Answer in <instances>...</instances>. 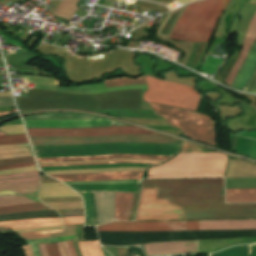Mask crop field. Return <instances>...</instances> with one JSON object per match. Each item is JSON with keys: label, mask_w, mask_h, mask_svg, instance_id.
Returning <instances> with one entry per match:
<instances>
[{"label": "crop field", "mask_w": 256, "mask_h": 256, "mask_svg": "<svg viewBox=\"0 0 256 256\" xmlns=\"http://www.w3.org/2000/svg\"><path fill=\"white\" fill-rule=\"evenodd\" d=\"M135 221L256 218V203L225 204L223 179L143 181Z\"/></svg>", "instance_id": "1"}, {"label": "crop field", "mask_w": 256, "mask_h": 256, "mask_svg": "<svg viewBox=\"0 0 256 256\" xmlns=\"http://www.w3.org/2000/svg\"><path fill=\"white\" fill-rule=\"evenodd\" d=\"M256 228V220L208 221V229ZM207 229V221L113 222L98 232ZM148 255L200 252L198 241L145 245Z\"/></svg>", "instance_id": "2"}, {"label": "crop field", "mask_w": 256, "mask_h": 256, "mask_svg": "<svg viewBox=\"0 0 256 256\" xmlns=\"http://www.w3.org/2000/svg\"><path fill=\"white\" fill-rule=\"evenodd\" d=\"M37 158L92 156L103 154H140L173 156L180 150V145L147 143H106L83 145H52L33 147Z\"/></svg>", "instance_id": "3"}, {"label": "crop field", "mask_w": 256, "mask_h": 256, "mask_svg": "<svg viewBox=\"0 0 256 256\" xmlns=\"http://www.w3.org/2000/svg\"><path fill=\"white\" fill-rule=\"evenodd\" d=\"M229 0H204L188 4L168 38L191 42L209 41Z\"/></svg>", "instance_id": "4"}, {"label": "crop field", "mask_w": 256, "mask_h": 256, "mask_svg": "<svg viewBox=\"0 0 256 256\" xmlns=\"http://www.w3.org/2000/svg\"><path fill=\"white\" fill-rule=\"evenodd\" d=\"M226 160L227 156L220 153L179 154L174 160L149 169L148 174L150 178L223 176Z\"/></svg>", "instance_id": "5"}, {"label": "crop field", "mask_w": 256, "mask_h": 256, "mask_svg": "<svg viewBox=\"0 0 256 256\" xmlns=\"http://www.w3.org/2000/svg\"><path fill=\"white\" fill-rule=\"evenodd\" d=\"M145 79L148 83V90L143 94L145 102L195 110L200 96L194 89L148 76Z\"/></svg>", "instance_id": "6"}, {"label": "crop field", "mask_w": 256, "mask_h": 256, "mask_svg": "<svg viewBox=\"0 0 256 256\" xmlns=\"http://www.w3.org/2000/svg\"><path fill=\"white\" fill-rule=\"evenodd\" d=\"M149 106L156 115L165 118L168 124L181 129L183 135L205 144L215 145L213 121L206 116L154 105Z\"/></svg>", "instance_id": "7"}, {"label": "crop field", "mask_w": 256, "mask_h": 256, "mask_svg": "<svg viewBox=\"0 0 256 256\" xmlns=\"http://www.w3.org/2000/svg\"><path fill=\"white\" fill-rule=\"evenodd\" d=\"M33 146L52 144H82L106 142H151V143H176L181 141L164 135H113L103 137H37L29 138Z\"/></svg>", "instance_id": "8"}, {"label": "crop field", "mask_w": 256, "mask_h": 256, "mask_svg": "<svg viewBox=\"0 0 256 256\" xmlns=\"http://www.w3.org/2000/svg\"><path fill=\"white\" fill-rule=\"evenodd\" d=\"M29 137L36 136H103L113 134H156L136 127H106L92 129H27Z\"/></svg>", "instance_id": "9"}, {"label": "crop field", "mask_w": 256, "mask_h": 256, "mask_svg": "<svg viewBox=\"0 0 256 256\" xmlns=\"http://www.w3.org/2000/svg\"><path fill=\"white\" fill-rule=\"evenodd\" d=\"M22 78L27 79V83L56 86V79H52V78L32 77V76H22ZM53 86L35 85V88L54 90V91H60L65 93H72V94H100V93L109 92V91L147 88V85L107 88L103 83L96 84V85L80 86V87H70V88H59V87H53Z\"/></svg>", "instance_id": "10"}, {"label": "crop field", "mask_w": 256, "mask_h": 256, "mask_svg": "<svg viewBox=\"0 0 256 256\" xmlns=\"http://www.w3.org/2000/svg\"><path fill=\"white\" fill-rule=\"evenodd\" d=\"M39 189L40 182L2 184L0 192L15 190L18 195L0 198V207L40 202L37 199Z\"/></svg>", "instance_id": "11"}, {"label": "crop field", "mask_w": 256, "mask_h": 256, "mask_svg": "<svg viewBox=\"0 0 256 256\" xmlns=\"http://www.w3.org/2000/svg\"><path fill=\"white\" fill-rule=\"evenodd\" d=\"M26 128H77V127H102L113 125H125L117 121L105 118L96 120H34L24 121Z\"/></svg>", "instance_id": "12"}, {"label": "crop field", "mask_w": 256, "mask_h": 256, "mask_svg": "<svg viewBox=\"0 0 256 256\" xmlns=\"http://www.w3.org/2000/svg\"><path fill=\"white\" fill-rule=\"evenodd\" d=\"M142 172H118V173H96V174H69L51 175L61 181H101V180H120L137 179L139 180Z\"/></svg>", "instance_id": "13"}, {"label": "crop field", "mask_w": 256, "mask_h": 256, "mask_svg": "<svg viewBox=\"0 0 256 256\" xmlns=\"http://www.w3.org/2000/svg\"><path fill=\"white\" fill-rule=\"evenodd\" d=\"M99 225L114 221V192H94Z\"/></svg>", "instance_id": "14"}, {"label": "crop field", "mask_w": 256, "mask_h": 256, "mask_svg": "<svg viewBox=\"0 0 256 256\" xmlns=\"http://www.w3.org/2000/svg\"><path fill=\"white\" fill-rule=\"evenodd\" d=\"M249 3H254L256 4V0H249ZM251 23V22H250ZM256 39V15L248 29V32L244 38V45L243 48L241 50V53L234 65V67L232 68L228 78L225 81V84L229 85L231 84L233 78L235 77L237 71L239 70L242 62L244 61L246 55L248 54L251 46L253 45L254 41Z\"/></svg>", "instance_id": "15"}, {"label": "crop field", "mask_w": 256, "mask_h": 256, "mask_svg": "<svg viewBox=\"0 0 256 256\" xmlns=\"http://www.w3.org/2000/svg\"><path fill=\"white\" fill-rule=\"evenodd\" d=\"M58 225H63L60 218L58 219H27V220H19V221L0 222V226H7L11 229L48 227V226H58Z\"/></svg>", "instance_id": "16"}, {"label": "crop field", "mask_w": 256, "mask_h": 256, "mask_svg": "<svg viewBox=\"0 0 256 256\" xmlns=\"http://www.w3.org/2000/svg\"><path fill=\"white\" fill-rule=\"evenodd\" d=\"M113 158H131V159H162L167 160L170 157L158 156H139V155H111V156H94V157H69V158H42L37 159L38 162H62V161H90Z\"/></svg>", "instance_id": "17"}, {"label": "crop field", "mask_w": 256, "mask_h": 256, "mask_svg": "<svg viewBox=\"0 0 256 256\" xmlns=\"http://www.w3.org/2000/svg\"><path fill=\"white\" fill-rule=\"evenodd\" d=\"M75 191H124L136 192L139 191V185L123 184V185H71L69 186Z\"/></svg>", "instance_id": "18"}, {"label": "crop field", "mask_w": 256, "mask_h": 256, "mask_svg": "<svg viewBox=\"0 0 256 256\" xmlns=\"http://www.w3.org/2000/svg\"><path fill=\"white\" fill-rule=\"evenodd\" d=\"M84 217L61 218L65 226L82 224ZM83 256H103L98 240L79 243Z\"/></svg>", "instance_id": "19"}, {"label": "crop field", "mask_w": 256, "mask_h": 256, "mask_svg": "<svg viewBox=\"0 0 256 256\" xmlns=\"http://www.w3.org/2000/svg\"><path fill=\"white\" fill-rule=\"evenodd\" d=\"M132 193L115 192V219L127 221Z\"/></svg>", "instance_id": "20"}, {"label": "crop field", "mask_w": 256, "mask_h": 256, "mask_svg": "<svg viewBox=\"0 0 256 256\" xmlns=\"http://www.w3.org/2000/svg\"><path fill=\"white\" fill-rule=\"evenodd\" d=\"M64 196H78L77 193L66 187L62 183L42 184V189L39 198L47 197H64Z\"/></svg>", "instance_id": "21"}, {"label": "crop field", "mask_w": 256, "mask_h": 256, "mask_svg": "<svg viewBox=\"0 0 256 256\" xmlns=\"http://www.w3.org/2000/svg\"><path fill=\"white\" fill-rule=\"evenodd\" d=\"M227 203L256 202V189L226 190Z\"/></svg>", "instance_id": "22"}, {"label": "crop field", "mask_w": 256, "mask_h": 256, "mask_svg": "<svg viewBox=\"0 0 256 256\" xmlns=\"http://www.w3.org/2000/svg\"><path fill=\"white\" fill-rule=\"evenodd\" d=\"M83 199L86 211L85 219L88 227L97 226L98 222L93 192H83Z\"/></svg>", "instance_id": "23"}, {"label": "crop field", "mask_w": 256, "mask_h": 256, "mask_svg": "<svg viewBox=\"0 0 256 256\" xmlns=\"http://www.w3.org/2000/svg\"><path fill=\"white\" fill-rule=\"evenodd\" d=\"M32 181H40L38 171L19 173V174L0 175V183L32 182Z\"/></svg>", "instance_id": "24"}, {"label": "crop field", "mask_w": 256, "mask_h": 256, "mask_svg": "<svg viewBox=\"0 0 256 256\" xmlns=\"http://www.w3.org/2000/svg\"><path fill=\"white\" fill-rule=\"evenodd\" d=\"M153 165L147 164H112V165H99V166H75V167H47L40 168L42 171L47 170H64V169H90V168H120V167H144L148 168Z\"/></svg>", "instance_id": "25"}, {"label": "crop field", "mask_w": 256, "mask_h": 256, "mask_svg": "<svg viewBox=\"0 0 256 256\" xmlns=\"http://www.w3.org/2000/svg\"><path fill=\"white\" fill-rule=\"evenodd\" d=\"M33 210H52V209L46 207L43 203H35V204H26V205L0 208V214L33 211Z\"/></svg>", "instance_id": "26"}, {"label": "crop field", "mask_w": 256, "mask_h": 256, "mask_svg": "<svg viewBox=\"0 0 256 256\" xmlns=\"http://www.w3.org/2000/svg\"><path fill=\"white\" fill-rule=\"evenodd\" d=\"M143 168H121V169H90V170H64V171H47L50 174H68V173H94V172H113V171H144Z\"/></svg>", "instance_id": "27"}, {"label": "crop field", "mask_w": 256, "mask_h": 256, "mask_svg": "<svg viewBox=\"0 0 256 256\" xmlns=\"http://www.w3.org/2000/svg\"><path fill=\"white\" fill-rule=\"evenodd\" d=\"M251 245L231 247L210 256H250Z\"/></svg>", "instance_id": "28"}, {"label": "crop field", "mask_w": 256, "mask_h": 256, "mask_svg": "<svg viewBox=\"0 0 256 256\" xmlns=\"http://www.w3.org/2000/svg\"><path fill=\"white\" fill-rule=\"evenodd\" d=\"M107 87L113 86H124V85H133V84H144L143 76L134 80L126 77L114 78L108 81L103 82Z\"/></svg>", "instance_id": "29"}, {"label": "crop field", "mask_w": 256, "mask_h": 256, "mask_svg": "<svg viewBox=\"0 0 256 256\" xmlns=\"http://www.w3.org/2000/svg\"><path fill=\"white\" fill-rule=\"evenodd\" d=\"M65 230H59V231H38V232H24V233H18L20 237L24 239H36V238H47L49 234L62 232Z\"/></svg>", "instance_id": "30"}, {"label": "crop field", "mask_w": 256, "mask_h": 256, "mask_svg": "<svg viewBox=\"0 0 256 256\" xmlns=\"http://www.w3.org/2000/svg\"><path fill=\"white\" fill-rule=\"evenodd\" d=\"M28 142L26 135H14V136H0V145L1 144H12V143H23Z\"/></svg>", "instance_id": "31"}, {"label": "crop field", "mask_w": 256, "mask_h": 256, "mask_svg": "<svg viewBox=\"0 0 256 256\" xmlns=\"http://www.w3.org/2000/svg\"><path fill=\"white\" fill-rule=\"evenodd\" d=\"M66 185L70 184H110V183H135L139 184V181L121 180V181H102V182H63Z\"/></svg>", "instance_id": "32"}, {"label": "crop field", "mask_w": 256, "mask_h": 256, "mask_svg": "<svg viewBox=\"0 0 256 256\" xmlns=\"http://www.w3.org/2000/svg\"><path fill=\"white\" fill-rule=\"evenodd\" d=\"M0 130L8 134L25 133L22 125L3 126L0 128Z\"/></svg>", "instance_id": "33"}, {"label": "crop field", "mask_w": 256, "mask_h": 256, "mask_svg": "<svg viewBox=\"0 0 256 256\" xmlns=\"http://www.w3.org/2000/svg\"><path fill=\"white\" fill-rule=\"evenodd\" d=\"M62 217H79L84 216L83 209L78 210H62L58 211Z\"/></svg>", "instance_id": "34"}, {"label": "crop field", "mask_w": 256, "mask_h": 256, "mask_svg": "<svg viewBox=\"0 0 256 256\" xmlns=\"http://www.w3.org/2000/svg\"><path fill=\"white\" fill-rule=\"evenodd\" d=\"M33 160H34L33 157L9 159V160H0V166L16 164V163H23V162H29V161H33Z\"/></svg>", "instance_id": "35"}, {"label": "crop field", "mask_w": 256, "mask_h": 256, "mask_svg": "<svg viewBox=\"0 0 256 256\" xmlns=\"http://www.w3.org/2000/svg\"><path fill=\"white\" fill-rule=\"evenodd\" d=\"M35 170H38V169L36 166H33V167L4 170V171H0V174L19 173V172H27V171H35Z\"/></svg>", "instance_id": "36"}, {"label": "crop field", "mask_w": 256, "mask_h": 256, "mask_svg": "<svg viewBox=\"0 0 256 256\" xmlns=\"http://www.w3.org/2000/svg\"><path fill=\"white\" fill-rule=\"evenodd\" d=\"M149 163V164H160L154 162H130V161H115V162H103V163H89V164H75V165H92V164H111V163ZM40 167H47V166H64V165H39Z\"/></svg>", "instance_id": "37"}, {"label": "crop field", "mask_w": 256, "mask_h": 256, "mask_svg": "<svg viewBox=\"0 0 256 256\" xmlns=\"http://www.w3.org/2000/svg\"><path fill=\"white\" fill-rule=\"evenodd\" d=\"M49 256H60L56 243L45 244Z\"/></svg>", "instance_id": "38"}, {"label": "crop field", "mask_w": 256, "mask_h": 256, "mask_svg": "<svg viewBox=\"0 0 256 256\" xmlns=\"http://www.w3.org/2000/svg\"><path fill=\"white\" fill-rule=\"evenodd\" d=\"M245 90L254 91L256 92V69L253 72L250 80L248 81Z\"/></svg>", "instance_id": "39"}, {"label": "crop field", "mask_w": 256, "mask_h": 256, "mask_svg": "<svg viewBox=\"0 0 256 256\" xmlns=\"http://www.w3.org/2000/svg\"><path fill=\"white\" fill-rule=\"evenodd\" d=\"M53 229H64V227L59 226V227H49V228L19 229V230H12V231H13V233H17V232H24V231L53 230Z\"/></svg>", "instance_id": "40"}, {"label": "crop field", "mask_w": 256, "mask_h": 256, "mask_svg": "<svg viewBox=\"0 0 256 256\" xmlns=\"http://www.w3.org/2000/svg\"><path fill=\"white\" fill-rule=\"evenodd\" d=\"M116 160H130V159H116ZM114 161V160H106ZM138 161H152V160H138ZM91 162H102V161H91ZM154 162H163V161H154ZM74 163H89V162H62V163H38V164H74Z\"/></svg>", "instance_id": "41"}, {"label": "crop field", "mask_w": 256, "mask_h": 256, "mask_svg": "<svg viewBox=\"0 0 256 256\" xmlns=\"http://www.w3.org/2000/svg\"><path fill=\"white\" fill-rule=\"evenodd\" d=\"M14 105L12 97H2L0 98V106H10Z\"/></svg>", "instance_id": "42"}, {"label": "crop field", "mask_w": 256, "mask_h": 256, "mask_svg": "<svg viewBox=\"0 0 256 256\" xmlns=\"http://www.w3.org/2000/svg\"><path fill=\"white\" fill-rule=\"evenodd\" d=\"M32 165H36L35 162L0 167V170L10 169V168H17V167H24V166H32Z\"/></svg>", "instance_id": "43"}, {"label": "crop field", "mask_w": 256, "mask_h": 256, "mask_svg": "<svg viewBox=\"0 0 256 256\" xmlns=\"http://www.w3.org/2000/svg\"><path fill=\"white\" fill-rule=\"evenodd\" d=\"M62 243H63V247H64V250H65L66 255H67V256H72V255H71V252H70V250H69V247H68L67 242L64 241V242H62Z\"/></svg>", "instance_id": "44"}, {"label": "crop field", "mask_w": 256, "mask_h": 256, "mask_svg": "<svg viewBox=\"0 0 256 256\" xmlns=\"http://www.w3.org/2000/svg\"><path fill=\"white\" fill-rule=\"evenodd\" d=\"M38 245H39V249H40L41 255H42V256H47V253H46V251H45L44 244H38Z\"/></svg>", "instance_id": "45"}, {"label": "crop field", "mask_w": 256, "mask_h": 256, "mask_svg": "<svg viewBox=\"0 0 256 256\" xmlns=\"http://www.w3.org/2000/svg\"><path fill=\"white\" fill-rule=\"evenodd\" d=\"M67 242H68L69 247H70V249H71L72 255H73V256H77L76 253H75V249H74V245H73L72 241L69 240V241H67Z\"/></svg>", "instance_id": "46"}, {"label": "crop field", "mask_w": 256, "mask_h": 256, "mask_svg": "<svg viewBox=\"0 0 256 256\" xmlns=\"http://www.w3.org/2000/svg\"><path fill=\"white\" fill-rule=\"evenodd\" d=\"M57 244H58V247H59V250H60L61 256H66V255H65V253H64V250H63L62 244H61V243H57Z\"/></svg>", "instance_id": "47"}, {"label": "crop field", "mask_w": 256, "mask_h": 256, "mask_svg": "<svg viewBox=\"0 0 256 256\" xmlns=\"http://www.w3.org/2000/svg\"><path fill=\"white\" fill-rule=\"evenodd\" d=\"M176 1H178V0H176ZM190 1H195V0H188V2H190ZM178 2H180V3L184 4V3H186V2H187V0H179Z\"/></svg>", "instance_id": "48"}, {"label": "crop field", "mask_w": 256, "mask_h": 256, "mask_svg": "<svg viewBox=\"0 0 256 256\" xmlns=\"http://www.w3.org/2000/svg\"><path fill=\"white\" fill-rule=\"evenodd\" d=\"M11 112H0V117L1 116H4V115H7V114H10Z\"/></svg>", "instance_id": "49"}, {"label": "crop field", "mask_w": 256, "mask_h": 256, "mask_svg": "<svg viewBox=\"0 0 256 256\" xmlns=\"http://www.w3.org/2000/svg\"><path fill=\"white\" fill-rule=\"evenodd\" d=\"M3 134H5V133L0 132V135H3Z\"/></svg>", "instance_id": "50"}]
</instances>
